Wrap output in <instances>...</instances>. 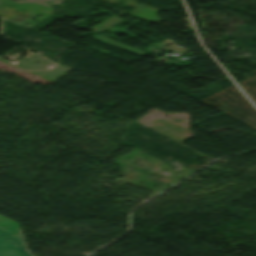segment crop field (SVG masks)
I'll use <instances>...</instances> for the list:
<instances>
[{
  "instance_id": "crop-field-1",
  "label": "crop field",
  "mask_w": 256,
  "mask_h": 256,
  "mask_svg": "<svg viewBox=\"0 0 256 256\" xmlns=\"http://www.w3.org/2000/svg\"><path fill=\"white\" fill-rule=\"evenodd\" d=\"M19 224L0 216V256H32L25 248Z\"/></svg>"
}]
</instances>
